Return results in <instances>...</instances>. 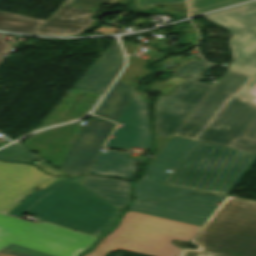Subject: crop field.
<instances>
[{"mask_svg": "<svg viewBox=\"0 0 256 256\" xmlns=\"http://www.w3.org/2000/svg\"><path fill=\"white\" fill-rule=\"evenodd\" d=\"M178 256H256V202L227 196Z\"/></svg>", "mask_w": 256, "mask_h": 256, "instance_id": "8a807250", "label": "crop field"}, {"mask_svg": "<svg viewBox=\"0 0 256 256\" xmlns=\"http://www.w3.org/2000/svg\"><path fill=\"white\" fill-rule=\"evenodd\" d=\"M199 226L127 211L115 229L84 256H105L123 249L149 256H177L182 248L171 241L189 242Z\"/></svg>", "mask_w": 256, "mask_h": 256, "instance_id": "ac0d7876", "label": "crop field"}, {"mask_svg": "<svg viewBox=\"0 0 256 256\" xmlns=\"http://www.w3.org/2000/svg\"><path fill=\"white\" fill-rule=\"evenodd\" d=\"M256 161V154L197 142L167 184L229 194Z\"/></svg>", "mask_w": 256, "mask_h": 256, "instance_id": "34b2d1b8", "label": "crop field"}, {"mask_svg": "<svg viewBox=\"0 0 256 256\" xmlns=\"http://www.w3.org/2000/svg\"><path fill=\"white\" fill-rule=\"evenodd\" d=\"M95 237L0 213V256H77Z\"/></svg>", "mask_w": 256, "mask_h": 256, "instance_id": "412701ff", "label": "crop field"}, {"mask_svg": "<svg viewBox=\"0 0 256 256\" xmlns=\"http://www.w3.org/2000/svg\"><path fill=\"white\" fill-rule=\"evenodd\" d=\"M31 213L37 218L95 237L107 231L120 211L46 187L25 199L8 214Z\"/></svg>", "mask_w": 256, "mask_h": 256, "instance_id": "f4fd0767", "label": "crop field"}, {"mask_svg": "<svg viewBox=\"0 0 256 256\" xmlns=\"http://www.w3.org/2000/svg\"><path fill=\"white\" fill-rule=\"evenodd\" d=\"M203 18L234 36L229 41L233 62L228 68L251 76L239 94L256 103V3Z\"/></svg>", "mask_w": 256, "mask_h": 256, "instance_id": "dd49c442", "label": "crop field"}, {"mask_svg": "<svg viewBox=\"0 0 256 256\" xmlns=\"http://www.w3.org/2000/svg\"><path fill=\"white\" fill-rule=\"evenodd\" d=\"M212 65L192 61L178 68L175 76L186 79L168 97L161 95L155 110V134L171 138L213 86L197 82ZM204 72V74H202Z\"/></svg>", "mask_w": 256, "mask_h": 256, "instance_id": "e52e79f7", "label": "crop field"}, {"mask_svg": "<svg viewBox=\"0 0 256 256\" xmlns=\"http://www.w3.org/2000/svg\"><path fill=\"white\" fill-rule=\"evenodd\" d=\"M256 122V105L236 95L197 140L256 153V142L241 139Z\"/></svg>", "mask_w": 256, "mask_h": 256, "instance_id": "d8731c3e", "label": "crop field"}, {"mask_svg": "<svg viewBox=\"0 0 256 256\" xmlns=\"http://www.w3.org/2000/svg\"><path fill=\"white\" fill-rule=\"evenodd\" d=\"M226 196L192 194L168 201L133 202L130 211L202 226Z\"/></svg>", "mask_w": 256, "mask_h": 256, "instance_id": "5a996713", "label": "crop field"}, {"mask_svg": "<svg viewBox=\"0 0 256 256\" xmlns=\"http://www.w3.org/2000/svg\"><path fill=\"white\" fill-rule=\"evenodd\" d=\"M54 179L33 166L0 161V211L7 213L33 190L45 188Z\"/></svg>", "mask_w": 256, "mask_h": 256, "instance_id": "3316defc", "label": "crop field"}, {"mask_svg": "<svg viewBox=\"0 0 256 256\" xmlns=\"http://www.w3.org/2000/svg\"><path fill=\"white\" fill-rule=\"evenodd\" d=\"M246 80V76L227 70L217 85L174 135L195 140L215 114Z\"/></svg>", "mask_w": 256, "mask_h": 256, "instance_id": "28ad6ade", "label": "crop field"}, {"mask_svg": "<svg viewBox=\"0 0 256 256\" xmlns=\"http://www.w3.org/2000/svg\"><path fill=\"white\" fill-rule=\"evenodd\" d=\"M115 123L91 116L59 168L68 175L87 174Z\"/></svg>", "mask_w": 256, "mask_h": 256, "instance_id": "d1516ede", "label": "crop field"}, {"mask_svg": "<svg viewBox=\"0 0 256 256\" xmlns=\"http://www.w3.org/2000/svg\"><path fill=\"white\" fill-rule=\"evenodd\" d=\"M122 129L115 130L106 147L119 149L123 147H141L151 149L148 129L146 102L142 101L136 91L126 110L121 116Z\"/></svg>", "mask_w": 256, "mask_h": 256, "instance_id": "22f410ed", "label": "crop field"}, {"mask_svg": "<svg viewBox=\"0 0 256 256\" xmlns=\"http://www.w3.org/2000/svg\"><path fill=\"white\" fill-rule=\"evenodd\" d=\"M100 8L63 5L35 34L47 36H78L92 26Z\"/></svg>", "mask_w": 256, "mask_h": 256, "instance_id": "cbeb9de0", "label": "crop field"}, {"mask_svg": "<svg viewBox=\"0 0 256 256\" xmlns=\"http://www.w3.org/2000/svg\"><path fill=\"white\" fill-rule=\"evenodd\" d=\"M123 63L122 53L117 43L113 41L73 88L104 94L106 88L119 73Z\"/></svg>", "mask_w": 256, "mask_h": 256, "instance_id": "5142ce71", "label": "crop field"}, {"mask_svg": "<svg viewBox=\"0 0 256 256\" xmlns=\"http://www.w3.org/2000/svg\"><path fill=\"white\" fill-rule=\"evenodd\" d=\"M167 169L171 170L172 168L148 165L147 174L135 183V200H165L179 197L186 193L209 194L163 185L162 183L171 174L165 172Z\"/></svg>", "mask_w": 256, "mask_h": 256, "instance_id": "d9b57169", "label": "crop field"}, {"mask_svg": "<svg viewBox=\"0 0 256 256\" xmlns=\"http://www.w3.org/2000/svg\"><path fill=\"white\" fill-rule=\"evenodd\" d=\"M130 154L113 152L99 154L88 174H99L131 180L136 168L132 164L138 159L128 158Z\"/></svg>", "mask_w": 256, "mask_h": 256, "instance_id": "733c2abd", "label": "crop field"}, {"mask_svg": "<svg viewBox=\"0 0 256 256\" xmlns=\"http://www.w3.org/2000/svg\"><path fill=\"white\" fill-rule=\"evenodd\" d=\"M136 89L117 81L93 114L118 122Z\"/></svg>", "mask_w": 256, "mask_h": 256, "instance_id": "4a817a6b", "label": "crop field"}, {"mask_svg": "<svg viewBox=\"0 0 256 256\" xmlns=\"http://www.w3.org/2000/svg\"><path fill=\"white\" fill-rule=\"evenodd\" d=\"M82 184L119 208H124L128 202V182L98 176H86Z\"/></svg>", "mask_w": 256, "mask_h": 256, "instance_id": "bc2a9ffb", "label": "crop field"}, {"mask_svg": "<svg viewBox=\"0 0 256 256\" xmlns=\"http://www.w3.org/2000/svg\"><path fill=\"white\" fill-rule=\"evenodd\" d=\"M195 143L196 141L174 137L150 164L177 168Z\"/></svg>", "mask_w": 256, "mask_h": 256, "instance_id": "214f88e0", "label": "crop field"}, {"mask_svg": "<svg viewBox=\"0 0 256 256\" xmlns=\"http://www.w3.org/2000/svg\"><path fill=\"white\" fill-rule=\"evenodd\" d=\"M85 176H77V177H58L54 180L48 187L54 188L56 190L62 191L67 194H71L74 196H78L95 203L119 209L116 206L112 205L102 197L98 196L84 185H82V181L84 180ZM121 210V209H119Z\"/></svg>", "mask_w": 256, "mask_h": 256, "instance_id": "92a150f3", "label": "crop field"}, {"mask_svg": "<svg viewBox=\"0 0 256 256\" xmlns=\"http://www.w3.org/2000/svg\"><path fill=\"white\" fill-rule=\"evenodd\" d=\"M44 21L0 12V30L32 34Z\"/></svg>", "mask_w": 256, "mask_h": 256, "instance_id": "dafd665d", "label": "crop field"}, {"mask_svg": "<svg viewBox=\"0 0 256 256\" xmlns=\"http://www.w3.org/2000/svg\"><path fill=\"white\" fill-rule=\"evenodd\" d=\"M16 143L0 150V160L27 163L39 158Z\"/></svg>", "mask_w": 256, "mask_h": 256, "instance_id": "00972430", "label": "crop field"}, {"mask_svg": "<svg viewBox=\"0 0 256 256\" xmlns=\"http://www.w3.org/2000/svg\"><path fill=\"white\" fill-rule=\"evenodd\" d=\"M243 1L246 0H189V7L192 16Z\"/></svg>", "mask_w": 256, "mask_h": 256, "instance_id": "a9b5d70f", "label": "crop field"}, {"mask_svg": "<svg viewBox=\"0 0 256 256\" xmlns=\"http://www.w3.org/2000/svg\"><path fill=\"white\" fill-rule=\"evenodd\" d=\"M146 63L138 58L128 57V66L120 75L119 80L129 83L136 77L146 76L152 71L145 68Z\"/></svg>", "mask_w": 256, "mask_h": 256, "instance_id": "4177f3b9", "label": "crop field"}, {"mask_svg": "<svg viewBox=\"0 0 256 256\" xmlns=\"http://www.w3.org/2000/svg\"><path fill=\"white\" fill-rule=\"evenodd\" d=\"M64 3L92 5L99 7L102 5L124 6L129 3V0H66Z\"/></svg>", "mask_w": 256, "mask_h": 256, "instance_id": "730fd06b", "label": "crop field"}, {"mask_svg": "<svg viewBox=\"0 0 256 256\" xmlns=\"http://www.w3.org/2000/svg\"><path fill=\"white\" fill-rule=\"evenodd\" d=\"M138 8L153 7L157 4L185 3V0H136Z\"/></svg>", "mask_w": 256, "mask_h": 256, "instance_id": "eef30255", "label": "crop field"}, {"mask_svg": "<svg viewBox=\"0 0 256 256\" xmlns=\"http://www.w3.org/2000/svg\"><path fill=\"white\" fill-rule=\"evenodd\" d=\"M6 36L7 35H5V34H0V55L3 54L8 48V43L4 42ZM2 60H3L2 57H0V64H1Z\"/></svg>", "mask_w": 256, "mask_h": 256, "instance_id": "ae1a2a85", "label": "crop field"}, {"mask_svg": "<svg viewBox=\"0 0 256 256\" xmlns=\"http://www.w3.org/2000/svg\"><path fill=\"white\" fill-rule=\"evenodd\" d=\"M157 138V150L154 154V156H157L158 153L161 151V149L165 146V144L168 142V138H163V137H158L156 136Z\"/></svg>", "mask_w": 256, "mask_h": 256, "instance_id": "d3111659", "label": "crop field"}, {"mask_svg": "<svg viewBox=\"0 0 256 256\" xmlns=\"http://www.w3.org/2000/svg\"><path fill=\"white\" fill-rule=\"evenodd\" d=\"M122 42H123V45H124V47L126 49V53L127 54H134L135 51L139 47L137 44H133V43H129V42H124V41H122Z\"/></svg>", "mask_w": 256, "mask_h": 256, "instance_id": "750c4746", "label": "crop field"}, {"mask_svg": "<svg viewBox=\"0 0 256 256\" xmlns=\"http://www.w3.org/2000/svg\"><path fill=\"white\" fill-rule=\"evenodd\" d=\"M243 138L256 141V123L251 127V129L245 134Z\"/></svg>", "mask_w": 256, "mask_h": 256, "instance_id": "bd1437ed", "label": "crop field"}, {"mask_svg": "<svg viewBox=\"0 0 256 256\" xmlns=\"http://www.w3.org/2000/svg\"><path fill=\"white\" fill-rule=\"evenodd\" d=\"M61 6H62V5H61ZM61 6H60V7H61ZM60 7H59V8H60ZM59 8H58V9H59ZM58 9H57V10H58ZM57 10H56V11H57ZM56 11H55V12H56ZM35 32H36V31H35ZM35 32H34V33H35ZM34 33H33V34H34Z\"/></svg>", "mask_w": 256, "mask_h": 256, "instance_id": "1d83c4d3", "label": "crop field"}]
</instances>
